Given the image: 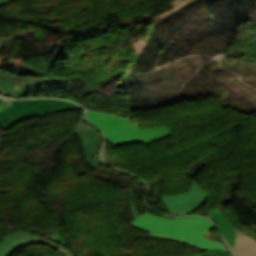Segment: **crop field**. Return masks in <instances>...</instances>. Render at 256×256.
<instances>
[{"label":"crop field","instance_id":"crop-field-1","mask_svg":"<svg viewBox=\"0 0 256 256\" xmlns=\"http://www.w3.org/2000/svg\"><path fill=\"white\" fill-rule=\"evenodd\" d=\"M132 225L152 232L150 237L175 240L205 250L221 248L227 251L224 245L208 239L211 237L208 231L214 229V226L202 217L163 219L143 214L136 218Z\"/></svg>","mask_w":256,"mask_h":256},{"label":"crop field","instance_id":"crop-field-10","mask_svg":"<svg viewBox=\"0 0 256 256\" xmlns=\"http://www.w3.org/2000/svg\"><path fill=\"white\" fill-rule=\"evenodd\" d=\"M236 236L235 247L242 252L241 256H256V242L237 231Z\"/></svg>","mask_w":256,"mask_h":256},{"label":"crop field","instance_id":"crop-field-8","mask_svg":"<svg viewBox=\"0 0 256 256\" xmlns=\"http://www.w3.org/2000/svg\"><path fill=\"white\" fill-rule=\"evenodd\" d=\"M210 218L212 219L213 222L216 223L221 234L223 235L224 239L226 240L228 246H230L234 256H238L240 253L233 248V244L235 242L234 231L230 227L228 222L225 220L223 214L219 210L213 209V212H212Z\"/></svg>","mask_w":256,"mask_h":256},{"label":"crop field","instance_id":"crop-field-5","mask_svg":"<svg viewBox=\"0 0 256 256\" xmlns=\"http://www.w3.org/2000/svg\"><path fill=\"white\" fill-rule=\"evenodd\" d=\"M160 198L170 214L190 213L206 201V195L193 181L187 193L173 197L160 196Z\"/></svg>","mask_w":256,"mask_h":256},{"label":"crop field","instance_id":"crop-field-7","mask_svg":"<svg viewBox=\"0 0 256 256\" xmlns=\"http://www.w3.org/2000/svg\"><path fill=\"white\" fill-rule=\"evenodd\" d=\"M32 242H40L47 243L46 240L38 238L32 234L28 233H16L8 236L0 242V255L1 256H9V253L17 249L18 247L32 243Z\"/></svg>","mask_w":256,"mask_h":256},{"label":"crop field","instance_id":"crop-field-11","mask_svg":"<svg viewBox=\"0 0 256 256\" xmlns=\"http://www.w3.org/2000/svg\"><path fill=\"white\" fill-rule=\"evenodd\" d=\"M205 255L208 256H231L229 253L221 250V249H213L211 251H207Z\"/></svg>","mask_w":256,"mask_h":256},{"label":"crop field","instance_id":"crop-field-3","mask_svg":"<svg viewBox=\"0 0 256 256\" xmlns=\"http://www.w3.org/2000/svg\"><path fill=\"white\" fill-rule=\"evenodd\" d=\"M5 37H0V49ZM68 89L67 78L18 77L0 71V94L23 97L28 90Z\"/></svg>","mask_w":256,"mask_h":256},{"label":"crop field","instance_id":"crop-field-14","mask_svg":"<svg viewBox=\"0 0 256 256\" xmlns=\"http://www.w3.org/2000/svg\"><path fill=\"white\" fill-rule=\"evenodd\" d=\"M10 1H12V0H0V5L6 4V3L10 2Z\"/></svg>","mask_w":256,"mask_h":256},{"label":"crop field","instance_id":"crop-field-15","mask_svg":"<svg viewBox=\"0 0 256 256\" xmlns=\"http://www.w3.org/2000/svg\"><path fill=\"white\" fill-rule=\"evenodd\" d=\"M4 100L0 99V105L3 103Z\"/></svg>","mask_w":256,"mask_h":256},{"label":"crop field","instance_id":"crop-field-9","mask_svg":"<svg viewBox=\"0 0 256 256\" xmlns=\"http://www.w3.org/2000/svg\"><path fill=\"white\" fill-rule=\"evenodd\" d=\"M145 144L152 143L172 135L169 127L140 129L138 125H133Z\"/></svg>","mask_w":256,"mask_h":256},{"label":"crop field","instance_id":"crop-field-4","mask_svg":"<svg viewBox=\"0 0 256 256\" xmlns=\"http://www.w3.org/2000/svg\"><path fill=\"white\" fill-rule=\"evenodd\" d=\"M87 113L89 120L95 123L103 131L105 138L116 146L136 141L141 142L128 119L97 112Z\"/></svg>","mask_w":256,"mask_h":256},{"label":"crop field","instance_id":"crop-field-16","mask_svg":"<svg viewBox=\"0 0 256 256\" xmlns=\"http://www.w3.org/2000/svg\"><path fill=\"white\" fill-rule=\"evenodd\" d=\"M59 256V255H58Z\"/></svg>","mask_w":256,"mask_h":256},{"label":"crop field","instance_id":"crop-field-6","mask_svg":"<svg viewBox=\"0 0 256 256\" xmlns=\"http://www.w3.org/2000/svg\"><path fill=\"white\" fill-rule=\"evenodd\" d=\"M74 133L77 134L81 140L86 160L89 165L93 168L100 165L97 162L98 149L101 143V136L99 132L94 127L85 124L80 120Z\"/></svg>","mask_w":256,"mask_h":256},{"label":"crop field","instance_id":"crop-field-13","mask_svg":"<svg viewBox=\"0 0 256 256\" xmlns=\"http://www.w3.org/2000/svg\"><path fill=\"white\" fill-rule=\"evenodd\" d=\"M48 244H50V245L54 246L55 248H57L58 251L61 254H64L65 256H74L71 252H69V251H67V250H65V249H63V248H61V247H59V246H57V245H55V244H53L51 242H48Z\"/></svg>","mask_w":256,"mask_h":256},{"label":"crop field","instance_id":"crop-field-12","mask_svg":"<svg viewBox=\"0 0 256 256\" xmlns=\"http://www.w3.org/2000/svg\"><path fill=\"white\" fill-rule=\"evenodd\" d=\"M129 189L131 190V194H132V196H131V209H132L134 217L136 218V217L139 216V214L136 211L135 205H134V193H133V190L131 188H129ZM132 222H133V220L131 222H129V224H131Z\"/></svg>","mask_w":256,"mask_h":256},{"label":"crop field","instance_id":"crop-field-2","mask_svg":"<svg viewBox=\"0 0 256 256\" xmlns=\"http://www.w3.org/2000/svg\"><path fill=\"white\" fill-rule=\"evenodd\" d=\"M77 109L81 108L61 100L6 101L0 107V125L8 129L26 117Z\"/></svg>","mask_w":256,"mask_h":256}]
</instances>
